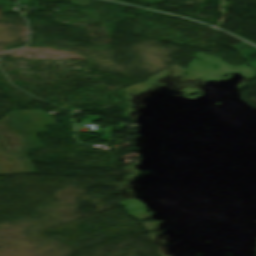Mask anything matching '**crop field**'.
I'll return each instance as SVG.
<instances>
[{
    "instance_id": "8a807250",
    "label": "crop field",
    "mask_w": 256,
    "mask_h": 256,
    "mask_svg": "<svg viewBox=\"0 0 256 256\" xmlns=\"http://www.w3.org/2000/svg\"><path fill=\"white\" fill-rule=\"evenodd\" d=\"M51 123V116L43 110L19 111L0 120V174L36 173L26 152L42 146L35 135Z\"/></svg>"
}]
</instances>
